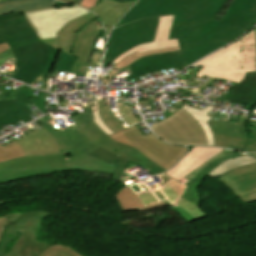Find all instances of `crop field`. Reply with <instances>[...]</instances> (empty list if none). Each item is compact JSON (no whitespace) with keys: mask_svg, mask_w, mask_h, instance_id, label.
I'll return each instance as SVG.
<instances>
[{"mask_svg":"<svg viewBox=\"0 0 256 256\" xmlns=\"http://www.w3.org/2000/svg\"><path fill=\"white\" fill-rule=\"evenodd\" d=\"M247 119V117L241 116L237 124L214 119H211L207 123L209 124L212 133L247 139L246 131L244 129V123Z\"/></svg>","mask_w":256,"mask_h":256,"instance_id":"22","label":"crop field"},{"mask_svg":"<svg viewBox=\"0 0 256 256\" xmlns=\"http://www.w3.org/2000/svg\"><path fill=\"white\" fill-rule=\"evenodd\" d=\"M256 151V135L252 133L251 139L247 142L243 152Z\"/></svg>","mask_w":256,"mask_h":256,"instance_id":"38","label":"crop field"},{"mask_svg":"<svg viewBox=\"0 0 256 256\" xmlns=\"http://www.w3.org/2000/svg\"><path fill=\"white\" fill-rule=\"evenodd\" d=\"M99 107V115L107 127L113 131L114 133L125 129V127L121 124V122L114 116L111 111L110 100L107 102H103L98 104Z\"/></svg>","mask_w":256,"mask_h":256,"instance_id":"24","label":"crop field"},{"mask_svg":"<svg viewBox=\"0 0 256 256\" xmlns=\"http://www.w3.org/2000/svg\"><path fill=\"white\" fill-rule=\"evenodd\" d=\"M5 40L2 38V36L0 35V43H4Z\"/></svg>","mask_w":256,"mask_h":256,"instance_id":"56","label":"crop field"},{"mask_svg":"<svg viewBox=\"0 0 256 256\" xmlns=\"http://www.w3.org/2000/svg\"><path fill=\"white\" fill-rule=\"evenodd\" d=\"M133 166H135V165H133V164L130 163V165L127 167L126 170H128L129 168H131V167H133Z\"/></svg>","mask_w":256,"mask_h":256,"instance_id":"57","label":"crop field"},{"mask_svg":"<svg viewBox=\"0 0 256 256\" xmlns=\"http://www.w3.org/2000/svg\"><path fill=\"white\" fill-rule=\"evenodd\" d=\"M154 193H155V195L158 197L159 200H162V199L165 198V197L162 196L158 191H156V192H154Z\"/></svg>","mask_w":256,"mask_h":256,"instance_id":"50","label":"crop field"},{"mask_svg":"<svg viewBox=\"0 0 256 256\" xmlns=\"http://www.w3.org/2000/svg\"><path fill=\"white\" fill-rule=\"evenodd\" d=\"M136 1L118 2L116 0H101L91 11L101 18L108 35L114 24Z\"/></svg>","mask_w":256,"mask_h":256,"instance_id":"17","label":"crop field"},{"mask_svg":"<svg viewBox=\"0 0 256 256\" xmlns=\"http://www.w3.org/2000/svg\"><path fill=\"white\" fill-rule=\"evenodd\" d=\"M114 197L122 212L128 210H138L142 212L166 205L164 202H160L145 207L129 186L122 188Z\"/></svg>","mask_w":256,"mask_h":256,"instance_id":"21","label":"crop field"},{"mask_svg":"<svg viewBox=\"0 0 256 256\" xmlns=\"http://www.w3.org/2000/svg\"><path fill=\"white\" fill-rule=\"evenodd\" d=\"M222 99L245 103L247 105L244 109L250 110L256 104V73H246V77L242 82L222 97Z\"/></svg>","mask_w":256,"mask_h":256,"instance_id":"19","label":"crop field"},{"mask_svg":"<svg viewBox=\"0 0 256 256\" xmlns=\"http://www.w3.org/2000/svg\"><path fill=\"white\" fill-rule=\"evenodd\" d=\"M181 108H183L184 110H186L187 112H189L191 115H193V117L196 119V121L199 123V125L202 127V129L204 130L206 136H207V145L209 146H213V137H212V133L209 129V126L207 125V121L210 120L211 118L205 116L206 114H208L209 112H211V110L214 108L212 106H208L206 107L204 110L200 111L198 109H195L193 107H189L187 105H183Z\"/></svg>","mask_w":256,"mask_h":256,"instance_id":"23","label":"crop field"},{"mask_svg":"<svg viewBox=\"0 0 256 256\" xmlns=\"http://www.w3.org/2000/svg\"><path fill=\"white\" fill-rule=\"evenodd\" d=\"M157 21L158 17L146 18L113 29L104 61L110 62L130 48L152 41Z\"/></svg>","mask_w":256,"mask_h":256,"instance_id":"8","label":"crop field"},{"mask_svg":"<svg viewBox=\"0 0 256 256\" xmlns=\"http://www.w3.org/2000/svg\"><path fill=\"white\" fill-rule=\"evenodd\" d=\"M74 62H75V59L61 52L57 65L55 67L54 73L51 77H54L57 70H71Z\"/></svg>","mask_w":256,"mask_h":256,"instance_id":"36","label":"crop field"},{"mask_svg":"<svg viewBox=\"0 0 256 256\" xmlns=\"http://www.w3.org/2000/svg\"><path fill=\"white\" fill-rule=\"evenodd\" d=\"M118 71H119V70H118ZM118 71L112 70L111 73H110V75H109V78H110L114 73H116V72H118ZM109 78H108V79H109ZM107 81H108V80H103L102 84H106Z\"/></svg>","mask_w":256,"mask_h":256,"instance_id":"48","label":"crop field"},{"mask_svg":"<svg viewBox=\"0 0 256 256\" xmlns=\"http://www.w3.org/2000/svg\"><path fill=\"white\" fill-rule=\"evenodd\" d=\"M141 186L145 189V191H148L144 185H141Z\"/></svg>","mask_w":256,"mask_h":256,"instance_id":"58","label":"crop field"},{"mask_svg":"<svg viewBox=\"0 0 256 256\" xmlns=\"http://www.w3.org/2000/svg\"><path fill=\"white\" fill-rule=\"evenodd\" d=\"M89 103L85 113L69 116L74 123L64 130L50 114L38 119L44 129L16 140L27 157L0 162V183L67 170L114 174L120 181L129 161L168 170L185 155L186 147L168 145L153 134L143 136L135 126L108 137L92 121L95 108Z\"/></svg>","mask_w":256,"mask_h":256,"instance_id":"1","label":"crop field"},{"mask_svg":"<svg viewBox=\"0 0 256 256\" xmlns=\"http://www.w3.org/2000/svg\"><path fill=\"white\" fill-rule=\"evenodd\" d=\"M0 1H5V0H0Z\"/></svg>","mask_w":256,"mask_h":256,"instance_id":"65","label":"crop field"},{"mask_svg":"<svg viewBox=\"0 0 256 256\" xmlns=\"http://www.w3.org/2000/svg\"><path fill=\"white\" fill-rule=\"evenodd\" d=\"M185 185L188 187L178 201L172 205L168 200L164 202L170 205L186 223L206 218L205 214L199 208L201 198L197 189L200 184L192 180Z\"/></svg>","mask_w":256,"mask_h":256,"instance_id":"13","label":"crop field"},{"mask_svg":"<svg viewBox=\"0 0 256 256\" xmlns=\"http://www.w3.org/2000/svg\"><path fill=\"white\" fill-rule=\"evenodd\" d=\"M139 197L144 202L145 205H149V203H152V202L154 203L158 202L151 192L141 194L139 195Z\"/></svg>","mask_w":256,"mask_h":256,"instance_id":"39","label":"crop field"},{"mask_svg":"<svg viewBox=\"0 0 256 256\" xmlns=\"http://www.w3.org/2000/svg\"><path fill=\"white\" fill-rule=\"evenodd\" d=\"M192 66H203L196 75H209L237 83L246 72L256 70V40L254 29L233 44L206 57Z\"/></svg>","mask_w":256,"mask_h":256,"instance_id":"3","label":"crop field"},{"mask_svg":"<svg viewBox=\"0 0 256 256\" xmlns=\"http://www.w3.org/2000/svg\"><path fill=\"white\" fill-rule=\"evenodd\" d=\"M126 180H127V178L124 177L122 182H124V181H126Z\"/></svg>","mask_w":256,"mask_h":256,"instance_id":"59","label":"crop field"},{"mask_svg":"<svg viewBox=\"0 0 256 256\" xmlns=\"http://www.w3.org/2000/svg\"><path fill=\"white\" fill-rule=\"evenodd\" d=\"M255 24H256V19H255Z\"/></svg>","mask_w":256,"mask_h":256,"instance_id":"64","label":"crop field"},{"mask_svg":"<svg viewBox=\"0 0 256 256\" xmlns=\"http://www.w3.org/2000/svg\"><path fill=\"white\" fill-rule=\"evenodd\" d=\"M24 156L21 146L15 141L4 147L0 145V161L2 162Z\"/></svg>","mask_w":256,"mask_h":256,"instance_id":"28","label":"crop field"},{"mask_svg":"<svg viewBox=\"0 0 256 256\" xmlns=\"http://www.w3.org/2000/svg\"><path fill=\"white\" fill-rule=\"evenodd\" d=\"M173 16H162L159 18L157 31L155 35V39L153 42L142 44L137 46L123 55L117 57L114 63H118L123 57L127 56L128 54L138 51L139 53L149 51V50H156V49H163V48H171L176 47L177 41L176 39L167 40L168 34L171 28Z\"/></svg>","mask_w":256,"mask_h":256,"instance_id":"16","label":"crop field"},{"mask_svg":"<svg viewBox=\"0 0 256 256\" xmlns=\"http://www.w3.org/2000/svg\"><path fill=\"white\" fill-rule=\"evenodd\" d=\"M162 140L180 145H206V136L193 117L179 109L171 117L150 127Z\"/></svg>","mask_w":256,"mask_h":256,"instance_id":"7","label":"crop field"},{"mask_svg":"<svg viewBox=\"0 0 256 256\" xmlns=\"http://www.w3.org/2000/svg\"><path fill=\"white\" fill-rule=\"evenodd\" d=\"M55 2V0H10L0 2V15L16 11L27 12L53 7Z\"/></svg>","mask_w":256,"mask_h":256,"instance_id":"20","label":"crop field"},{"mask_svg":"<svg viewBox=\"0 0 256 256\" xmlns=\"http://www.w3.org/2000/svg\"><path fill=\"white\" fill-rule=\"evenodd\" d=\"M255 9L256 0H233L220 21L172 27L168 39L177 38L184 68L253 27Z\"/></svg>","mask_w":256,"mask_h":256,"instance_id":"2","label":"crop field"},{"mask_svg":"<svg viewBox=\"0 0 256 256\" xmlns=\"http://www.w3.org/2000/svg\"><path fill=\"white\" fill-rule=\"evenodd\" d=\"M40 256H81L73 249L63 245H51L45 252Z\"/></svg>","mask_w":256,"mask_h":256,"instance_id":"30","label":"crop field"},{"mask_svg":"<svg viewBox=\"0 0 256 256\" xmlns=\"http://www.w3.org/2000/svg\"><path fill=\"white\" fill-rule=\"evenodd\" d=\"M221 150L222 149L220 148L193 147L192 150L175 167L165 174L178 181Z\"/></svg>","mask_w":256,"mask_h":256,"instance_id":"15","label":"crop field"},{"mask_svg":"<svg viewBox=\"0 0 256 256\" xmlns=\"http://www.w3.org/2000/svg\"><path fill=\"white\" fill-rule=\"evenodd\" d=\"M238 156H244L238 152L232 154V155H228L225 156L217 161H214L212 163H210L206 168H204V170L202 172H200L193 180L199 182L200 184L202 183L203 179L205 177H207V175L210 173V171L215 168L216 166H218L219 164H221L222 162L232 158V157H238Z\"/></svg>","mask_w":256,"mask_h":256,"instance_id":"32","label":"crop field"},{"mask_svg":"<svg viewBox=\"0 0 256 256\" xmlns=\"http://www.w3.org/2000/svg\"><path fill=\"white\" fill-rule=\"evenodd\" d=\"M14 104L15 99L0 101V128L20 121V118L14 109Z\"/></svg>","mask_w":256,"mask_h":256,"instance_id":"25","label":"crop field"},{"mask_svg":"<svg viewBox=\"0 0 256 256\" xmlns=\"http://www.w3.org/2000/svg\"><path fill=\"white\" fill-rule=\"evenodd\" d=\"M60 1L76 4V5H79V3L81 2V0H60Z\"/></svg>","mask_w":256,"mask_h":256,"instance_id":"46","label":"crop field"},{"mask_svg":"<svg viewBox=\"0 0 256 256\" xmlns=\"http://www.w3.org/2000/svg\"><path fill=\"white\" fill-rule=\"evenodd\" d=\"M14 74H15L14 71H9L7 75L13 77Z\"/></svg>","mask_w":256,"mask_h":256,"instance_id":"52","label":"crop field"},{"mask_svg":"<svg viewBox=\"0 0 256 256\" xmlns=\"http://www.w3.org/2000/svg\"><path fill=\"white\" fill-rule=\"evenodd\" d=\"M127 67L131 69L133 74L127 76L124 79L130 81L136 77L148 75L153 72L163 71L165 69L170 70L182 68L183 65L180 53L177 51L171 53L149 55L135 61Z\"/></svg>","mask_w":256,"mask_h":256,"instance_id":"11","label":"crop field"},{"mask_svg":"<svg viewBox=\"0 0 256 256\" xmlns=\"http://www.w3.org/2000/svg\"><path fill=\"white\" fill-rule=\"evenodd\" d=\"M244 203L256 201V193L240 198Z\"/></svg>","mask_w":256,"mask_h":256,"instance_id":"45","label":"crop field"},{"mask_svg":"<svg viewBox=\"0 0 256 256\" xmlns=\"http://www.w3.org/2000/svg\"><path fill=\"white\" fill-rule=\"evenodd\" d=\"M94 104H95V108H96V111H93V115L95 117L94 119V122L96 123V125L103 131L105 132L106 134L110 135V134H113V132H111L106 126L105 124L102 122V120L100 119L99 115H98V108H97V104H98V101H94Z\"/></svg>","mask_w":256,"mask_h":256,"instance_id":"37","label":"crop field"},{"mask_svg":"<svg viewBox=\"0 0 256 256\" xmlns=\"http://www.w3.org/2000/svg\"><path fill=\"white\" fill-rule=\"evenodd\" d=\"M147 171L150 172L151 174L155 175L158 173L165 172L166 170H164L163 168H161L160 166L155 164L152 168L148 169Z\"/></svg>","mask_w":256,"mask_h":256,"instance_id":"44","label":"crop field"},{"mask_svg":"<svg viewBox=\"0 0 256 256\" xmlns=\"http://www.w3.org/2000/svg\"><path fill=\"white\" fill-rule=\"evenodd\" d=\"M118 1H128V0H118Z\"/></svg>","mask_w":256,"mask_h":256,"instance_id":"61","label":"crop field"},{"mask_svg":"<svg viewBox=\"0 0 256 256\" xmlns=\"http://www.w3.org/2000/svg\"><path fill=\"white\" fill-rule=\"evenodd\" d=\"M234 153V151L228 150V149H224L222 150L220 153H218L216 156H214L212 159H210L209 161H207L206 163H204L202 166H200L199 168H197L196 170H194L193 172H191L190 174L186 175L185 177H183L181 180H179V182L181 183H186L187 181L193 179L205 166H207L210 162L217 160L225 155L228 154H232Z\"/></svg>","mask_w":256,"mask_h":256,"instance_id":"33","label":"crop field"},{"mask_svg":"<svg viewBox=\"0 0 256 256\" xmlns=\"http://www.w3.org/2000/svg\"><path fill=\"white\" fill-rule=\"evenodd\" d=\"M165 189H162V191L164 192V194L169 198V200L171 202H174L175 198L180 195V193L182 192V190L184 189V185H180L174 181H171L167 184H165Z\"/></svg>","mask_w":256,"mask_h":256,"instance_id":"35","label":"crop field"},{"mask_svg":"<svg viewBox=\"0 0 256 256\" xmlns=\"http://www.w3.org/2000/svg\"><path fill=\"white\" fill-rule=\"evenodd\" d=\"M29 101L35 105L40 111H42L44 114L48 113L49 111H47L44 107L47 106L45 105V101L41 100V99H32L30 98Z\"/></svg>","mask_w":256,"mask_h":256,"instance_id":"40","label":"crop field"},{"mask_svg":"<svg viewBox=\"0 0 256 256\" xmlns=\"http://www.w3.org/2000/svg\"><path fill=\"white\" fill-rule=\"evenodd\" d=\"M136 192L140 191V188L137 185L131 186Z\"/></svg>","mask_w":256,"mask_h":256,"instance_id":"51","label":"crop field"},{"mask_svg":"<svg viewBox=\"0 0 256 256\" xmlns=\"http://www.w3.org/2000/svg\"><path fill=\"white\" fill-rule=\"evenodd\" d=\"M238 197L256 192V163L238 167L219 177Z\"/></svg>","mask_w":256,"mask_h":256,"instance_id":"12","label":"crop field"},{"mask_svg":"<svg viewBox=\"0 0 256 256\" xmlns=\"http://www.w3.org/2000/svg\"><path fill=\"white\" fill-rule=\"evenodd\" d=\"M139 104H144V103H148L147 100L144 101H138Z\"/></svg>","mask_w":256,"mask_h":256,"instance_id":"55","label":"crop field"},{"mask_svg":"<svg viewBox=\"0 0 256 256\" xmlns=\"http://www.w3.org/2000/svg\"><path fill=\"white\" fill-rule=\"evenodd\" d=\"M7 49H9V46L7 45V43L0 45V53L7 50Z\"/></svg>","mask_w":256,"mask_h":256,"instance_id":"47","label":"crop field"},{"mask_svg":"<svg viewBox=\"0 0 256 256\" xmlns=\"http://www.w3.org/2000/svg\"><path fill=\"white\" fill-rule=\"evenodd\" d=\"M7 57L15 58L10 49L0 54V66L3 65Z\"/></svg>","mask_w":256,"mask_h":256,"instance_id":"42","label":"crop field"},{"mask_svg":"<svg viewBox=\"0 0 256 256\" xmlns=\"http://www.w3.org/2000/svg\"><path fill=\"white\" fill-rule=\"evenodd\" d=\"M253 162H256V160H254L248 156L233 158L231 160H228V161L222 163L215 169H213L209 175L216 178V177L223 175L224 173H226L227 171H229L231 169H234L241 165L253 163Z\"/></svg>","mask_w":256,"mask_h":256,"instance_id":"27","label":"crop field"},{"mask_svg":"<svg viewBox=\"0 0 256 256\" xmlns=\"http://www.w3.org/2000/svg\"><path fill=\"white\" fill-rule=\"evenodd\" d=\"M156 185H152V186H149L150 188H153V187H155Z\"/></svg>","mask_w":256,"mask_h":256,"instance_id":"60","label":"crop field"},{"mask_svg":"<svg viewBox=\"0 0 256 256\" xmlns=\"http://www.w3.org/2000/svg\"><path fill=\"white\" fill-rule=\"evenodd\" d=\"M99 0H82L79 6L91 9L94 5H96Z\"/></svg>","mask_w":256,"mask_h":256,"instance_id":"41","label":"crop field"},{"mask_svg":"<svg viewBox=\"0 0 256 256\" xmlns=\"http://www.w3.org/2000/svg\"><path fill=\"white\" fill-rule=\"evenodd\" d=\"M117 109L122 119L128 126L138 123L133 113L130 111L128 103H117Z\"/></svg>","mask_w":256,"mask_h":256,"instance_id":"34","label":"crop field"},{"mask_svg":"<svg viewBox=\"0 0 256 256\" xmlns=\"http://www.w3.org/2000/svg\"><path fill=\"white\" fill-rule=\"evenodd\" d=\"M248 155H253V158L256 159V153H247Z\"/></svg>","mask_w":256,"mask_h":256,"instance_id":"54","label":"crop field"},{"mask_svg":"<svg viewBox=\"0 0 256 256\" xmlns=\"http://www.w3.org/2000/svg\"><path fill=\"white\" fill-rule=\"evenodd\" d=\"M89 11L78 6L48 8L24 13L26 19L38 34L40 39L57 37V33L70 21Z\"/></svg>","mask_w":256,"mask_h":256,"instance_id":"9","label":"crop field"},{"mask_svg":"<svg viewBox=\"0 0 256 256\" xmlns=\"http://www.w3.org/2000/svg\"><path fill=\"white\" fill-rule=\"evenodd\" d=\"M48 214L41 211L6 215L9 223L0 243V256H39L49 245L34 239V229Z\"/></svg>","mask_w":256,"mask_h":256,"instance_id":"5","label":"crop field"},{"mask_svg":"<svg viewBox=\"0 0 256 256\" xmlns=\"http://www.w3.org/2000/svg\"><path fill=\"white\" fill-rule=\"evenodd\" d=\"M176 50H179L178 47L177 48H171V49H164V50H156V51H150V52H145V53H133L125 58H123L116 66L113 67V69L117 68V69H122L124 68L126 65L134 62L135 60H137L138 58L140 57H143V56H146V55H149V54H153V53H159V52H170V51H176Z\"/></svg>","mask_w":256,"mask_h":256,"instance_id":"31","label":"crop field"},{"mask_svg":"<svg viewBox=\"0 0 256 256\" xmlns=\"http://www.w3.org/2000/svg\"><path fill=\"white\" fill-rule=\"evenodd\" d=\"M100 27L98 19L81 27L77 33L75 43L72 49V55L78 58L74 71L76 70L78 64L88 65L89 59L94 49V44L97 36L102 33V29L96 30L89 38L92 31Z\"/></svg>","mask_w":256,"mask_h":256,"instance_id":"14","label":"crop field"},{"mask_svg":"<svg viewBox=\"0 0 256 256\" xmlns=\"http://www.w3.org/2000/svg\"><path fill=\"white\" fill-rule=\"evenodd\" d=\"M213 137H214V146H220V147L229 148V149L238 148L242 150L245 143L248 141L245 139L221 136L216 134H213Z\"/></svg>","mask_w":256,"mask_h":256,"instance_id":"29","label":"crop field"},{"mask_svg":"<svg viewBox=\"0 0 256 256\" xmlns=\"http://www.w3.org/2000/svg\"><path fill=\"white\" fill-rule=\"evenodd\" d=\"M29 89H23V90H18L17 91V97H16V105L15 108L20 115L22 121L26 124L32 119H30L27 115L33 113L28 107H26L25 103L28 101L29 97L32 98H37L31 96L32 93L34 92V89H31L30 92H28Z\"/></svg>","mask_w":256,"mask_h":256,"instance_id":"26","label":"crop field"},{"mask_svg":"<svg viewBox=\"0 0 256 256\" xmlns=\"http://www.w3.org/2000/svg\"><path fill=\"white\" fill-rule=\"evenodd\" d=\"M248 128H250V129H251V131H252V132H254V133L256 134V129H255V128L250 127V126H248Z\"/></svg>","mask_w":256,"mask_h":256,"instance_id":"53","label":"crop field"},{"mask_svg":"<svg viewBox=\"0 0 256 256\" xmlns=\"http://www.w3.org/2000/svg\"><path fill=\"white\" fill-rule=\"evenodd\" d=\"M97 18L94 14L88 13L70 23H68L59 33L58 38L42 40L44 43L62 49V51L71 55V49L74 43L75 35L79 28L91 20Z\"/></svg>","mask_w":256,"mask_h":256,"instance_id":"18","label":"crop field"},{"mask_svg":"<svg viewBox=\"0 0 256 256\" xmlns=\"http://www.w3.org/2000/svg\"><path fill=\"white\" fill-rule=\"evenodd\" d=\"M7 223L8 222L5 217H0V242L2 241V235Z\"/></svg>","mask_w":256,"mask_h":256,"instance_id":"43","label":"crop field"},{"mask_svg":"<svg viewBox=\"0 0 256 256\" xmlns=\"http://www.w3.org/2000/svg\"><path fill=\"white\" fill-rule=\"evenodd\" d=\"M126 174H127V173H126V171H125L123 175H125V176H126Z\"/></svg>","mask_w":256,"mask_h":256,"instance_id":"62","label":"crop field"},{"mask_svg":"<svg viewBox=\"0 0 256 256\" xmlns=\"http://www.w3.org/2000/svg\"><path fill=\"white\" fill-rule=\"evenodd\" d=\"M226 0H142L117 24L136 21L145 17L174 15L173 24L212 20Z\"/></svg>","mask_w":256,"mask_h":256,"instance_id":"4","label":"crop field"},{"mask_svg":"<svg viewBox=\"0 0 256 256\" xmlns=\"http://www.w3.org/2000/svg\"><path fill=\"white\" fill-rule=\"evenodd\" d=\"M18 68L14 78L25 83L34 79L44 83L58 49L44 44L41 40L12 49ZM29 84V85H30Z\"/></svg>","mask_w":256,"mask_h":256,"instance_id":"6","label":"crop field"},{"mask_svg":"<svg viewBox=\"0 0 256 256\" xmlns=\"http://www.w3.org/2000/svg\"><path fill=\"white\" fill-rule=\"evenodd\" d=\"M160 177H161V179H162V181H163L164 183L170 181V179L167 178V177H165V176H160ZM164 183L160 184L159 186L163 185Z\"/></svg>","mask_w":256,"mask_h":256,"instance_id":"49","label":"crop field"},{"mask_svg":"<svg viewBox=\"0 0 256 256\" xmlns=\"http://www.w3.org/2000/svg\"><path fill=\"white\" fill-rule=\"evenodd\" d=\"M0 34L10 48L39 39L23 13L20 12L0 16Z\"/></svg>","mask_w":256,"mask_h":256,"instance_id":"10","label":"crop field"},{"mask_svg":"<svg viewBox=\"0 0 256 256\" xmlns=\"http://www.w3.org/2000/svg\"><path fill=\"white\" fill-rule=\"evenodd\" d=\"M255 33H256V27H255Z\"/></svg>","mask_w":256,"mask_h":256,"instance_id":"63","label":"crop field"}]
</instances>
